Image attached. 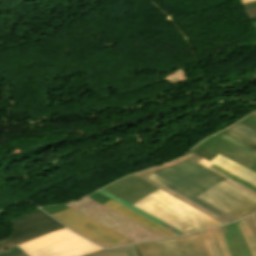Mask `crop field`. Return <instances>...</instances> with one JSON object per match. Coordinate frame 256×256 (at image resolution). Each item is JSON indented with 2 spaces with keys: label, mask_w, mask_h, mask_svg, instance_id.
<instances>
[{
  "label": "crop field",
  "mask_w": 256,
  "mask_h": 256,
  "mask_svg": "<svg viewBox=\"0 0 256 256\" xmlns=\"http://www.w3.org/2000/svg\"><path fill=\"white\" fill-rule=\"evenodd\" d=\"M202 233L211 256H230L220 227Z\"/></svg>",
  "instance_id": "22f410ed"
},
{
  "label": "crop field",
  "mask_w": 256,
  "mask_h": 256,
  "mask_svg": "<svg viewBox=\"0 0 256 256\" xmlns=\"http://www.w3.org/2000/svg\"><path fill=\"white\" fill-rule=\"evenodd\" d=\"M245 9L256 7V2L243 4Z\"/></svg>",
  "instance_id": "d32e631a"
},
{
  "label": "crop field",
  "mask_w": 256,
  "mask_h": 256,
  "mask_svg": "<svg viewBox=\"0 0 256 256\" xmlns=\"http://www.w3.org/2000/svg\"><path fill=\"white\" fill-rule=\"evenodd\" d=\"M133 206L186 234L222 225L160 189Z\"/></svg>",
  "instance_id": "8a807250"
},
{
  "label": "crop field",
  "mask_w": 256,
  "mask_h": 256,
  "mask_svg": "<svg viewBox=\"0 0 256 256\" xmlns=\"http://www.w3.org/2000/svg\"><path fill=\"white\" fill-rule=\"evenodd\" d=\"M51 215L71 230L101 246L112 247L133 243L71 208Z\"/></svg>",
  "instance_id": "f4fd0767"
},
{
  "label": "crop field",
  "mask_w": 256,
  "mask_h": 256,
  "mask_svg": "<svg viewBox=\"0 0 256 256\" xmlns=\"http://www.w3.org/2000/svg\"><path fill=\"white\" fill-rule=\"evenodd\" d=\"M68 207L64 206V205H59V206H53V207H48V208H42L44 211H46L47 213L51 214L53 212L59 211V210H63L66 209Z\"/></svg>",
  "instance_id": "ae1a2a85"
},
{
  "label": "crop field",
  "mask_w": 256,
  "mask_h": 256,
  "mask_svg": "<svg viewBox=\"0 0 256 256\" xmlns=\"http://www.w3.org/2000/svg\"><path fill=\"white\" fill-rule=\"evenodd\" d=\"M0 256H27L19 247L14 246L0 251Z\"/></svg>",
  "instance_id": "a9b5d70f"
},
{
  "label": "crop field",
  "mask_w": 256,
  "mask_h": 256,
  "mask_svg": "<svg viewBox=\"0 0 256 256\" xmlns=\"http://www.w3.org/2000/svg\"><path fill=\"white\" fill-rule=\"evenodd\" d=\"M29 256H80L103 249L74 234L59 230L19 245Z\"/></svg>",
  "instance_id": "ac0d7876"
},
{
  "label": "crop field",
  "mask_w": 256,
  "mask_h": 256,
  "mask_svg": "<svg viewBox=\"0 0 256 256\" xmlns=\"http://www.w3.org/2000/svg\"><path fill=\"white\" fill-rule=\"evenodd\" d=\"M148 178H150V179H152V180L162 184L163 186L173 190L174 192L182 195L183 197L193 201L194 203H196V204H198V205H200V206H202V207H204V208H206V209H208V210H210V211L220 215L221 217L225 218L226 220H228L230 222L237 220L234 217L224 213L223 211H221V210H219V209L209 205L208 203H206V202L196 198L195 196L189 194L188 192L182 190L181 188H179V187H177V186H175V185H173V184H171V183H169V182H167V181H165V180H163V179H161V178H159V177H157V176H155L153 174L151 176H149Z\"/></svg>",
  "instance_id": "cbeb9de0"
},
{
  "label": "crop field",
  "mask_w": 256,
  "mask_h": 256,
  "mask_svg": "<svg viewBox=\"0 0 256 256\" xmlns=\"http://www.w3.org/2000/svg\"><path fill=\"white\" fill-rule=\"evenodd\" d=\"M103 189L133 205L159 188L131 175Z\"/></svg>",
  "instance_id": "5a996713"
},
{
  "label": "crop field",
  "mask_w": 256,
  "mask_h": 256,
  "mask_svg": "<svg viewBox=\"0 0 256 256\" xmlns=\"http://www.w3.org/2000/svg\"><path fill=\"white\" fill-rule=\"evenodd\" d=\"M253 114H255V115H256V112H255V113H253Z\"/></svg>",
  "instance_id": "c035e120"
},
{
  "label": "crop field",
  "mask_w": 256,
  "mask_h": 256,
  "mask_svg": "<svg viewBox=\"0 0 256 256\" xmlns=\"http://www.w3.org/2000/svg\"><path fill=\"white\" fill-rule=\"evenodd\" d=\"M191 152L203 157L204 159L208 160V161H212L214 158H216L218 156V154L210 151L209 149L203 147L202 145H198L194 150H192Z\"/></svg>",
  "instance_id": "00972430"
},
{
  "label": "crop field",
  "mask_w": 256,
  "mask_h": 256,
  "mask_svg": "<svg viewBox=\"0 0 256 256\" xmlns=\"http://www.w3.org/2000/svg\"><path fill=\"white\" fill-rule=\"evenodd\" d=\"M245 221L249 225V227H250V229H251V231H252V233H253V235H254V237L256 239V227H255L251 217L249 216V217L245 218Z\"/></svg>",
  "instance_id": "d3111659"
},
{
  "label": "crop field",
  "mask_w": 256,
  "mask_h": 256,
  "mask_svg": "<svg viewBox=\"0 0 256 256\" xmlns=\"http://www.w3.org/2000/svg\"><path fill=\"white\" fill-rule=\"evenodd\" d=\"M221 134H223L226 137L234 140L235 142L241 144L242 146H244V147H246V148L256 152V145H254V144L244 140L243 138H241V137H239V136H237V135H235V134H233V133H231V132H229L227 130L221 132Z\"/></svg>",
  "instance_id": "dafd665d"
},
{
  "label": "crop field",
  "mask_w": 256,
  "mask_h": 256,
  "mask_svg": "<svg viewBox=\"0 0 256 256\" xmlns=\"http://www.w3.org/2000/svg\"><path fill=\"white\" fill-rule=\"evenodd\" d=\"M200 144L239 163L248 169L256 164V157L254 155L242 150L241 148L216 135Z\"/></svg>",
  "instance_id": "3316defc"
},
{
  "label": "crop field",
  "mask_w": 256,
  "mask_h": 256,
  "mask_svg": "<svg viewBox=\"0 0 256 256\" xmlns=\"http://www.w3.org/2000/svg\"><path fill=\"white\" fill-rule=\"evenodd\" d=\"M224 181L229 183V184H231V185H233V186H235L236 188H238V189H240V190H242V191H244V192L254 196L256 198V194L255 193H253V192H251V191H249V190H247V189H245V188H243V187H241V186H239V185H237V184H235V183H233V182H231V181H229L227 179L224 180Z\"/></svg>",
  "instance_id": "750c4746"
},
{
  "label": "crop field",
  "mask_w": 256,
  "mask_h": 256,
  "mask_svg": "<svg viewBox=\"0 0 256 256\" xmlns=\"http://www.w3.org/2000/svg\"><path fill=\"white\" fill-rule=\"evenodd\" d=\"M237 223L246 239V242H247L253 256H256V242H255V239H254L248 225L246 224L244 219L238 221Z\"/></svg>",
  "instance_id": "214f88e0"
},
{
  "label": "crop field",
  "mask_w": 256,
  "mask_h": 256,
  "mask_svg": "<svg viewBox=\"0 0 256 256\" xmlns=\"http://www.w3.org/2000/svg\"><path fill=\"white\" fill-rule=\"evenodd\" d=\"M252 218H253V220H254V222H255V224H256V215H255V214L252 215Z\"/></svg>",
  "instance_id": "b80d0937"
},
{
  "label": "crop field",
  "mask_w": 256,
  "mask_h": 256,
  "mask_svg": "<svg viewBox=\"0 0 256 256\" xmlns=\"http://www.w3.org/2000/svg\"><path fill=\"white\" fill-rule=\"evenodd\" d=\"M66 206L81 212L135 242L162 238L88 197L78 202L66 204Z\"/></svg>",
  "instance_id": "34b2d1b8"
},
{
  "label": "crop field",
  "mask_w": 256,
  "mask_h": 256,
  "mask_svg": "<svg viewBox=\"0 0 256 256\" xmlns=\"http://www.w3.org/2000/svg\"><path fill=\"white\" fill-rule=\"evenodd\" d=\"M188 158H186L185 156L174 161V162H171V163H168V164H165V165H161V166H158V167H155V168H152V169H149V171H151L152 173L157 171V170H160V169H164V168H168V167H171L173 165H176V164H179V163H182L184 161H186Z\"/></svg>",
  "instance_id": "4177f3b9"
},
{
  "label": "crop field",
  "mask_w": 256,
  "mask_h": 256,
  "mask_svg": "<svg viewBox=\"0 0 256 256\" xmlns=\"http://www.w3.org/2000/svg\"><path fill=\"white\" fill-rule=\"evenodd\" d=\"M135 175L138 176V177H140V178H142V179H144V180H146V181H148L149 183H151V184H153V185L159 187L160 189L166 191L167 193H169V194H171L172 196L178 198L179 200L183 201L184 203H186V204H188V205H190V206H192V207H194V208H196V209L202 211L203 213L209 215L210 217L216 219L217 221H219V222H221V223H223V224L229 223L228 221H226V220H224L223 218H221V217L215 215L214 213H212V212H210V211H208V210H206V209H204V208H202V207H200V206L194 204L193 202H191V201H189V200L183 198L182 196H180V195L174 193L173 191H171V190H169V189L163 187L162 185H160V184H158V183H156V182H154V181L148 179L147 177L143 176L142 174L138 173V174H135Z\"/></svg>",
  "instance_id": "d9b57169"
},
{
  "label": "crop field",
  "mask_w": 256,
  "mask_h": 256,
  "mask_svg": "<svg viewBox=\"0 0 256 256\" xmlns=\"http://www.w3.org/2000/svg\"><path fill=\"white\" fill-rule=\"evenodd\" d=\"M84 256H138L136 245H127L114 249H104Z\"/></svg>",
  "instance_id": "733c2abd"
},
{
  "label": "crop field",
  "mask_w": 256,
  "mask_h": 256,
  "mask_svg": "<svg viewBox=\"0 0 256 256\" xmlns=\"http://www.w3.org/2000/svg\"><path fill=\"white\" fill-rule=\"evenodd\" d=\"M221 228L231 256H252L236 222Z\"/></svg>",
  "instance_id": "d1516ede"
},
{
  "label": "crop field",
  "mask_w": 256,
  "mask_h": 256,
  "mask_svg": "<svg viewBox=\"0 0 256 256\" xmlns=\"http://www.w3.org/2000/svg\"><path fill=\"white\" fill-rule=\"evenodd\" d=\"M154 174L174 183L195 196L225 179L191 160L168 169L160 170Z\"/></svg>",
  "instance_id": "412701ff"
},
{
  "label": "crop field",
  "mask_w": 256,
  "mask_h": 256,
  "mask_svg": "<svg viewBox=\"0 0 256 256\" xmlns=\"http://www.w3.org/2000/svg\"><path fill=\"white\" fill-rule=\"evenodd\" d=\"M137 246L142 256H210L201 232L180 238L140 243Z\"/></svg>",
  "instance_id": "e52e79f7"
},
{
  "label": "crop field",
  "mask_w": 256,
  "mask_h": 256,
  "mask_svg": "<svg viewBox=\"0 0 256 256\" xmlns=\"http://www.w3.org/2000/svg\"><path fill=\"white\" fill-rule=\"evenodd\" d=\"M228 130H230V131H232L233 133H235V134H237V135H239V136H241V137L245 138L246 140H248V141H250V142H252V143L256 144L255 142H253V141H251V140L247 139L246 137H244V136H242V135L238 134L237 132H235V131H233V130H231V129H229V128H228Z\"/></svg>",
  "instance_id": "5866460e"
},
{
  "label": "crop field",
  "mask_w": 256,
  "mask_h": 256,
  "mask_svg": "<svg viewBox=\"0 0 256 256\" xmlns=\"http://www.w3.org/2000/svg\"><path fill=\"white\" fill-rule=\"evenodd\" d=\"M64 228L63 225L39 209L13 221L10 238L0 241V249L33 239L49 232Z\"/></svg>",
  "instance_id": "d8731c3e"
},
{
  "label": "crop field",
  "mask_w": 256,
  "mask_h": 256,
  "mask_svg": "<svg viewBox=\"0 0 256 256\" xmlns=\"http://www.w3.org/2000/svg\"><path fill=\"white\" fill-rule=\"evenodd\" d=\"M250 170H252V171L256 172V165H255V166H253Z\"/></svg>",
  "instance_id": "0bd39190"
},
{
  "label": "crop field",
  "mask_w": 256,
  "mask_h": 256,
  "mask_svg": "<svg viewBox=\"0 0 256 256\" xmlns=\"http://www.w3.org/2000/svg\"><path fill=\"white\" fill-rule=\"evenodd\" d=\"M98 192H100V193L106 195L107 197H109V198H111V199H113V200H115V201H117V202H119V203H121V204H123V205H125V206H127V207H129V208H131V209H133V210H135V211H137L138 213H140V214L146 216L147 218H149V219H151V220L157 222L158 224H160V225H162V226L168 228L169 230H171V231L177 233L179 236H180V235H184L182 232H180V231L174 229L173 227L167 225L166 223H164V222H162V221H160V220H158V219H156V218L150 216L149 214H147V213H145V212H143V211H141V210H139V209L133 207L132 205H130V204H128L127 202H125V201H123V200H121V199H119V198H117V197L111 195L110 193L106 192V191L103 190V189L99 190Z\"/></svg>",
  "instance_id": "bc2a9ffb"
},
{
  "label": "crop field",
  "mask_w": 256,
  "mask_h": 256,
  "mask_svg": "<svg viewBox=\"0 0 256 256\" xmlns=\"http://www.w3.org/2000/svg\"><path fill=\"white\" fill-rule=\"evenodd\" d=\"M242 1V4L243 3H246V2H252V1H256V0H241Z\"/></svg>",
  "instance_id": "e1f06a70"
},
{
  "label": "crop field",
  "mask_w": 256,
  "mask_h": 256,
  "mask_svg": "<svg viewBox=\"0 0 256 256\" xmlns=\"http://www.w3.org/2000/svg\"><path fill=\"white\" fill-rule=\"evenodd\" d=\"M197 163H199L200 165H202V166H204V167H206V168H208V169H210V170H212V171H214V172H216V173H218V174H220V175H222V176H224V177H226V178H228V179H230V180H232V181H234V182H236V183H238L256 193V186H254V185L250 184L249 182L211 164L210 162L203 159Z\"/></svg>",
  "instance_id": "4a817a6b"
},
{
  "label": "crop field",
  "mask_w": 256,
  "mask_h": 256,
  "mask_svg": "<svg viewBox=\"0 0 256 256\" xmlns=\"http://www.w3.org/2000/svg\"><path fill=\"white\" fill-rule=\"evenodd\" d=\"M141 173H142L143 175L147 176V177L152 174V173L149 172L148 170L143 171V172H141Z\"/></svg>",
  "instance_id": "028f5c9d"
},
{
  "label": "crop field",
  "mask_w": 256,
  "mask_h": 256,
  "mask_svg": "<svg viewBox=\"0 0 256 256\" xmlns=\"http://www.w3.org/2000/svg\"><path fill=\"white\" fill-rule=\"evenodd\" d=\"M245 11H246L250 20L256 18V8L245 10Z\"/></svg>",
  "instance_id": "bd1437ed"
},
{
  "label": "crop field",
  "mask_w": 256,
  "mask_h": 256,
  "mask_svg": "<svg viewBox=\"0 0 256 256\" xmlns=\"http://www.w3.org/2000/svg\"><path fill=\"white\" fill-rule=\"evenodd\" d=\"M212 163L238 175L239 177L249 181L250 183L256 185V174L249 171L248 169L222 157L218 156L212 161Z\"/></svg>",
  "instance_id": "5142ce71"
},
{
  "label": "crop field",
  "mask_w": 256,
  "mask_h": 256,
  "mask_svg": "<svg viewBox=\"0 0 256 256\" xmlns=\"http://www.w3.org/2000/svg\"><path fill=\"white\" fill-rule=\"evenodd\" d=\"M197 197L238 219L256 212L254 197L223 181Z\"/></svg>",
  "instance_id": "dd49c442"
},
{
  "label": "crop field",
  "mask_w": 256,
  "mask_h": 256,
  "mask_svg": "<svg viewBox=\"0 0 256 256\" xmlns=\"http://www.w3.org/2000/svg\"><path fill=\"white\" fill-rule=\"evenodd\" d=\"M107 207H109L110 209L116 211L117 213L143 225L144 227L150 229L151 231L165 237V238H169V237H176L178 235L174 234L173 232L165 229L164 227L158 225L157 223L147 219L146 217L114 202V201H109L105 204H103Z\"/></svg>",
  "instance_id": "28ad6ade"
},
{
  "label": "crop field",
  "mask_w": 256,
  "mask_h": 256,
  "mask_svg": "<svg viewBox=\"0 0 256 256\" xmlns=\"http://www.w3.org/2000/svg\"><path fill=\"white\" fill-rule=\"evenodd\" d=\"M88 197L92 198L93 200H95V201H97V202H99L101 204H103V203L107 202L108 200H110L109 198L99 194L98 192H96L93 195H90Z\"/></svg>",
  "instance_id": "eef30255"
},
{
  "label": "crop field",
  "mask_w": 256,
  "mask_h": 256,
  "mask_svg": "<svg viewBox=\"0 0 256 256\" xmlns=\"http://www.w3.org/2000/svg\"><path fill=\"white\" fill-rule=\"evenodd\" d=\"M235 131H237L238 133L256 141V131H254L253 129L241 124V123H236L233 126L229 127Z\"/></svg>",
  "instance_id": "92a150f3"
},
{
  "label": "crop field",
  "mask_w": 256,
  "mask_h": 256,
  "mask_svg": "<svg viewBox=\"0 0 256 256\" xmlns=\"http://www.w3.org/2000/svg\"><path fill=\"white\" fill-rule=\"evenodd\" d=\"M185 156H187L188 158H190L191 160H193V161H195V162H197V161H199V160H201L202 158H200L199 156H197V155H195V154H193V153H188L187 155H185Z\"/></svg>",
  "instance_id": "1d83c4d3"
},
{
  "label": "crop field",
  "mask_w": 256,
  "mask_h": 256,
  "mask_svg": "<svg viewBox=\"0 0 256 256\" xmlns=\"http://www.w3.org/2000/svg\"><path fill=\"white\" fill-rule=\"evenodd\" d=\"M217 135H219V136H221V137L225 138L226 140H228V141H230V142L234 143L235 145H237V146L241 147L242 149H244V150H246V151H248V152H250V153H252V154L256 155V153H254V152H252V151H250V150H248V149H246V148L242 147L241 145H239V144H237V143L233 142L232 140H230V139L226 138L225 136H223V135H221V134H219V133H218Z\"/></svg>",
  "instance_id": "120bbe31"
},
{
  "label": "crop field",
  "mask_w": 256,
  "mask_h": 256,
  "mask_svg": "<svg viewBox=\"0 0 256 256\" xmlns=\"http://www.w3.org/2000/svg\"><path fill=\"white\" fill-rule=\"evenodd\" d=\"M251 128H253L254 130H256V116L255 115H250L249 117L239 121Z\"/></svg>",
  "instance_id": "730fd06b"
}]
</instances>
